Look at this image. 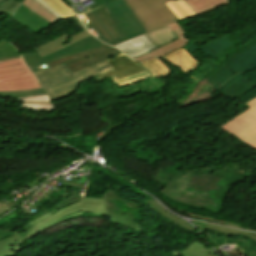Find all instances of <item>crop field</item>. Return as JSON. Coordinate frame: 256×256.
Instances as JSON below:
<instances>
[{
    "instance_id": "28",
    "label": "crop field",
    "mask_w": 256,
    "mask_h": 256,
    "mask_svg": "<svg viewBox=\"0 0 256 256\" xmlns=\"http://www.w3.org/2000/svg\"><path fill=\"white\" fill-rule=\"evenodd\" d=\"M18 5L19 3H16L15 0H0V13L3 12L4 14L11 16Z\"/></svg>"
},
{
    "instance_id": "1",
    "label": "crop field",
    "mask_w": 256,
    "mask_h": 256,
    "mask_svg": "<svg viewBox=\"0 0 256 256\" xmlns=\"http://www.w3.org/2000/svg\"><path fill=\"white\" fill-rule=\"evenodd\" d=\"M85 212L106 215L104 200L82 198V202L50 211L22 227L21 231H15L11 238L1 241L0 256H15L17 252L33 243L29 239L35 234L41 233L66 219L81 216Z\"/></svg>"
},
{
    "instance_id": "14",
    "label": "crop field",
    "mask_w": 256,
    "mask_h": 256,
    "mask_svg": "<svg viewBox=\"0 0 256 256\" xmlns=\"http://www.w3.org/2000/svg\"><path fill=\"white\" fill-rule=\"evenodd\" d=\"M169 26L177 34V36L180 39L170 42V43H168L150 53H147L141 57H138L134 60H136L139 63L145 59L154 58V57H162L165 54H167L177 48L184 47L185 44L188 42V40L183 36L186 33L176 23L170 24Z\"/></svg>"
},
{
    "instance_id": "42",
    "label": "crop field",
    "mask_w": 256,
    "mask_h": 256,
    "mask_svg": "<svg viewBox=\"0 0 256 256\" xmlns=\"http://www.w3.org/2000/svg\"><path fill=\"white\" fill-rule=\"evenodd\" d=\"M236 2L239 1V0H235Z\"/></svg>"
},
{
    "instance_id": "9",
    "label": "crop field",
    "mask_w": 256,
    "mask_h": 256,
    "mask_svg": "<svg viewBox=\"0 0 256 256\" xmlns=\"http://www.w3.org/2000/svg\"><path fill=\"white\" fill-rule=\"evenodd\" d=\"M119 53L121 52L117 49L104 45L62 60L48 63V66L52 68L63 63L72 73H74L80 69H83L107 57L117 55Z\"/></svg>"
},
{
    "instance_id": "11",
    "label": "crop field",
    "mask_w": 256,
    "mask_h": 256,
    "mask_svg": "<svg viewBox=\"0 0 256 256\" xmlns=\"http://www.w3.org/2000/svg\"><path fill=\"white\" fill-rule=\"evenodd\" d=\"M74 19L84 29V31H81L80 33L73 35V36L63 34L47 43L41 45L40 47L37 48V52L40 54L41 57H43L47 54H50L54 51H57L65 46H69V45L90 35L87 32V30L84 28L82 23L79 21L77 16L74 17Z\"/></svg>"
},
{
    "instance_id": "7",
    "label": "crop field",
    "mask_w": 256,
    "mask_h": 256,
    "mask_svg": "<svg viewBox=\"0 0 256 256\" xmlns=\"http://www.w3.org/2000/svg\"><path fill=\"white\" fill-rule=\"evenodd\" d=\"M104 45L93 36H90L70 47H66L60 51L54 52L43 58L39 56L37 52L28 53L22 55L26 65L32 70V72L47 67L48 62H52L58 59H62L98 46ZM45 69V68H44Z\"/></svg>"
},
{
    "instance_id": "36",
    "label": "crop field",
    "mask_w": 256,
    "mask_h": 256,
    "mask_svg": "<svg viewBox=\"0 0 256 256\" xmlns=\"http://www.w3.org/2000/svg\"><path fill=\"white\" fill-rule=\"evenodd\" d=\"M25 104H48V105H52L51 102H22Z\"/></svg>"
},
{
    "instance_id": "43",
    "label": "crop field",
    "mask_w": 256,
    "mask_h": 256,
    "mask_svg": "<svg viewBox=\"0 0 256 256\" xmlns=\"http://www.w3.org/2000/svg\"><path fill=\"white\" fill-rule=\"evenodd\" d=\"M1 61V60H0Z\"/></svg>"
},
{
    "instance_id": "2",
    "label": "crop field",
    "mask_w": 256,
    "mask_h": 256,
    "mask_svg": "<svg viewBox=\"0 0 256 256\" xmlns=\"http://www.w3.org/2000/svg\"><path fill=\"white\" fill-rule=\"evenodd\" d=\"M112 70L106 59L95 65L87 67L72 74L63 64L50 69L49 67L34 72L39 83L43 86L49 97L64 98L71 94L78 84L86 79L98 76Z\"/></svg>"
},
{
    "instance_id": "13",
    "label": "crop field",
    "mask_w": 256,
    "mask_h": 256,
    "mask_svg": "<svg viewBox=\"0 0 256 256\" xmlns=\"http://www.w3.org/2000/svg\"><path fill=\"white\" fill-rule=\"evenodd\" d=\"M115 46L127 53L132 59L156 49L154 44L144 35L138 36Z\"/></svg>"
},
{
    "instance_id": "30",
    "label": "crop field",
    "mask_w": 256,
    "mask_h": 256,
    "mask_svg": "<svg viewBox=\"0 0 256 256\" xmlns=\"http://www.w3.org/2000/svg\"><path fill=\"white\" fill-rule=\"evenodd\" d=\"M81 21L84 23V25L87 27V29L96 37L101 39L102 41L110 44L94 27L93 25L87 20V18L84 16V14L79 16Z\"/></svg>"
},
{
    "instance_id": "39",
    "label": "crop field",
    "mask_w": 256,
    "mask_h": 256,
    "mask_svg": "<svg viewBox=\"0 0 256 256\" xmlns=\"http://www.w3.org/2000/svg\"><path fill=\"white\" fill-rule=\"evenodd\" d=\"M106 4L111 2V1H115V0H103Z\"/></svg>"
},
{
    "instance_id": "16",
    "label": "crop field",
    "mask_w": 256,
    "mask_h": 256,
    "mask_svg": "<svg viewBox=\"0 0 256 256\" xmlns=\"http://www.w3.org/2000/svg\"><path fill=\"white\" fill-rule=\"evenodd\" d=\"M92 14L96 21L102 26L104 32L107 34L114 45L123 42V39L115 24L113 23L110 15L108 14L105 6L92 11Z\"/></svg>"
},
{
    "instance_id": "24",
    "label": "crop field",
    "mask_w": 256,
    "mask_h": 256,
    "mask_svg": "<svg viewBox=\"0 0 256 256\" xmlns=\"http://www.w3.org/2000/svg\"><path fill=\"white\" fill-rule=\"evenodd\" d=\"M22 4L27 6L33 12L39 14L41 17H43L45 20H47L50 23H52L55 20H57L56 17H54L49 11H47L43 6H41L35 0H25Z\"/></svg>"
},
{
    "instance_id": "3",
    "label": "crop field",
    "mask_w": 256,
    "mask_h": 256,
    "mask_svg": "<svg viewBox=\"0 0 256 256\" xmlns=\"http://www.w3.org/2000/svg\"><path fill=\"white\" fill-rule=\"evenodd\" d=\"M147 32L179 21L163 3L169 0H122Z\"/></svg>"
},
{
    "instance_id": "4",
    "label": "crop field",
    "mask_w": 256,
    "mask_h": 256,
    "mask_svg": "<svg viewBox=\"0 0 256 256\" xmlns=\"http://www.w3.org/2000/svg\"><path fill=\"white\" fill-rule=\"evenodd\" d=\"M22 59L0 62V91L39 88Z\"/></svg>"
},
{
    "instance_id": "31",
    "label": "crop field",
    "mask_w": 256,
    "mask_h": 256,
    "mask_svg": "<svg viewBox=\"0 0 256 256\" xmlns=\"http://www.w3.org/2000/svg\"><path fill=\"white\" fill-rule=\"evenodd\" d=\"M86 17L88 18V20L94 25V27L111 43V41L108 39V37L105 35V33L103 32L101 26L95 21V19L93 18L92 14L90 12L85 13ZM112 44V43H111ZM113 45V44H112Z\"/></svg>"
},
{
    "instance_id": "19",
    "label": "crop field",
    "mask_w": 256,
    "mask_h": 256,
    "mask_svg": "<svg viewBox=\"0 0 256 256\" xmlns=\"http://www.w3.org/2000/svg\"><path fill=\"white\" fill-rule=\"evenodd\" d=\"M145 203L147 205H149L152 210L159 213L163 218L167 219L168 221H171L175 224H178L184 228H187V229L193 231V228L186 221H184V220L174 216L170 212H168L157 201H154V199H147L145 201Z\"/></svg>"
},
{
    "instance_id": "10",
    "label": "crop field",
    "mask_w": 256,
    "mask_h": 256,
    "mask_svg": "<svg viewBox=\"0 0 256 256\" xmlns=\"http://www.w3.org/2000/svg\"><path fill=\"white\" fill-rule=\"evenodd\" d=\"M107 61L113 67L114 70L104 73L98 77L93 78L92 80L97 81L98 83L101 82L103 79L110 77L114 74H118L120 78L135 75L141 72H145V70L135 64L132 60H130L127 56L123 53L107 58ZM117 75V76H118Z\"/></svg>"
},
{
    "instance_id": "29",
    "label": "crop field",
    "mask_w": 256,
    "mask_h": 256,
    "mask_svg": "<svg viewBox=\"0 0 256 256\" xmlns=\"http://www.w3.org/2000/svg\"><path fill=\"white\" fill-rule=\"evenodd\" d=\"M148 77H149L148 73L145 72V73H141V74H138V75H135V76H131V77L115 80L113 82L115 84H118L121 87L123 85L134 83V82L143 80V79L148 78Z\"/></svg>"
},
{
    "instance_id": "40",
    "label": "crop field",
    "mask_w": 256,
    "mask_h": 256,
    "mask_svg": "<svg viewBox=\"0 0 256 256\" xmlns=\"http://www.w3.org/2000/svg\"><path fill=\"white\" fill-rule=\"evenodd\" d=\"M0 59H2V61L5 60L1 55H0Z\"/></svg>"
},
{
    "instance_id": "33",
    "label": "crop field",
    "mask_w": 256,
    "mask_h": 256,
    "mask_svg": "<svg viewBox=\"0 0 256 256\" xmlns=\"http://www.w3.org/2000/svg\"><path fill=\"white\" fill-rule=\"evenodd\" d=\"M22 101H50L47 95L31 97V98H20Z\"/></svg>"
},
{
    "instance_id": "20",
    "label": "crop field",
    "mask_w": 256,
    "mask_h": 256,
    "mask_svg": "<svg viewBox=\"0 0 256 256\" xmlns=\"http://www.w3.org/2000/svg\"><path fill=\"white\" fill-rule=\"evenodd\" d=\"M203 231L209 230V231H216L219 234H225V235H244L248 237L249 239L255 241L256 243V234L249 233V232H243V231H238L214 224H206V223H199L198 224Z\"/></svg>"
},
{
    "instance_id": "22",
    "label": "crop field",
    "mask_w": 256,
    "mask_h": 256,
    "mask_svg": "<svg viewBox=\"0 0 256 256\" xmlns=\"http://www.w3.org/2000/svg\"><path fill=\"white\" fill-rule=\"evenodd\" d=\"M165 4L179 20L195 17L194 13L183 0H178L176 2H174L173 0L170 2H166Z\"/></svg>"
},
{
    "instance_id": "38",
    "label": "crop field",
    "mask_w": 256,
    "mask_h": 256,
    "mask_svg": "<svg viewBox=\"0 0 256 256\" xmlns=\"http://www.w3.org/2000/svg\"><path fill=\"white\" fill-rule=\"evenodd\" d=\"M249 256H256V253L251 251Z\"/></svg>"
},
{
    "instance_id": "12",
    "label": "crop field",
    "mask_w": 256,
    "mask_h": 256,
    "mask_svg": "<svg viewBox=\"0 0 256 256\" xmlns=\"http://www.w3.org/2000/svg\"><path fill=\"white\" fill-rule=\"evenodd\" d=\"M12 19L28 27L34 33H38L42 29L47 28L50 25L47 21L33 13L31 10H29L22 4L17 9Z\"/></svg>"
},
{
    "instance_id": "41",
    "label": "crop field",
    "mask_w": 256,
    "mask_h": 256,
    "mask_svg": "<svg viewBox=\"0 0 256 256\" xmlns=\"http://www.w3.org/2000/svg\"><path fill=\"white\" fill-rule=\"evenodd\" d=\"M207 256H211V255L208 254Z\"/></svg>"
},
{
    "instance_id": "25",
    "label": "crop field",
    "mask_w": 256,
    "mask_h": 256,
    "mask_svg": "<svg viewBox=\"0 0 256 256\" xmlns=\"http://www.w3.org/2000/svg\"><path fill=\"white\" fill-rule=\"evenodd\" d=\"M208 253L217 256L212 249L195 242L184 250L183 256H206Z\"/></svg>"
},
{
    "instance_id": "5",
    "label": "crop field",
    "mask_w": 256,
    "mask_h": 256,
    "mask_svg": "<svg viewBox=\"0 0 256 256\" xmlns=\"http://www.w3.org/2000/svg\"><path fill=\"white\" fill-rule=\"evenodd\" d=\"M111 187L103 196L99 198L105 199L107 216L114 222L128 226L129 228L141 232L140 226L133 223L134 220L141 219L138 205L134 202L127 201L118 197L114 188Z\"/></svg>"
},
{
    "instance_id": "35",
    "label": "crop field",
    "mask_w": 256,
    "mask_h": 256,
    "mask_svg": "<svg viewBox=\"0 0 256 256\" xmlns=\"http://www.w3.org/2000/svg\"><path fill=\"white\" fill-rule=\"evenodd\" d=\"M9 209H11V208H9V207H7V206H5V205L0 203V214L5 212V211H7V210H9Z\"/></svg>"
},
{
    "instance_id": "15",
    "label": "crop field",
    "mask_w": 256,
    "mask_h": 256,
    "mask_svg": "<svg viewBox=\"0 0 256 256\" xmlns=\"http://www.w3.org/2000/svg\"><path fill=\"white\" fill-rule=\"evenodd\" d=\"M162 58H164L166 61H168L186 74L194 71L199 65V63L196 62L197 60L195 59V61L184 48L175 50Z\"/></svg>"
},
{
    "instance_id": "26",
    "label": "crop field",
    "mask_w": 256,
    "mask_h": 256,
    "mask_svg": "<svg viewBox=\"0 0 256 256\" xmlns=\"http://www.w3.org/2000/svg\"><path fill=\"white\" fill-rule=\"evenodd\" d=\"M43 94H45V92L42 90V88L33 89V90H24V91L0 92V96H6V97H30V96L43 95Z\"/></svg>"
},
{
    "instance_id": "18",
    "label": "crop field",
    "mask_w": 256,
    "mask_h": 256,
    "mask_svg": "<svg viewBox=\"0 0 256 256\" xmlns=\"http://www.w3.org/2000/svg\"><path fill=\"white\" fill-rule=\"evenodd\" d=\"M145 36L148 37L157 48L178 38L169 26L156 30L152 33H147Z\"/></svg>"
},
{
    "instance_id": "17",
    "label": "crop field",
    "mask_w": 256,
    "mask_h": 256,
    "mask_svg": "<svg viewBox=\"0 0 256 256\" xmlns=\"http://www.w3.org/2000/svg\"><path fill=\"white\" fill-rule=\"evenodd\" d=\"M196 16L211 10L217 9L225 4L231 3L228 0H185Z\"/></svg>"
},
{
    "instance_id": "34",
    "label": "crop field",
    "mask_w": 256,
    "mask_h": 256,
    "mask_svg": "<svg viewBox=\"0 0 256 256\" xmlns=\"http://www.w3.org/2000/svg\"><path fill=\"white\" fill-rule=\"evenodd\" d=\"M40 4H42L47 10H49L54 16L58 19H61L43 0H37Z\"/></svg>"
},
{
    "instance_id": "37",
    "label": "crop field",
    "mask_w": 256,
    "mask_h": 256,
    "mask_svg": "<svg viewBox=\"0 0 256 256\" xmlns=\"http://www.w3.org/2000/svg\"><path fill=\"white\" fill-rule=\"evenodd\" d=\"M98 6L105 5L102 0H93Z\"/></svg>"
},
{
    "instance_id": "32",
    "label": "crop field",
    "mask_w": 256,
    "mask_h": 256,
    "mask_svg": "<svg viewBox=\"0 0 256 256\" xmlns=\"http://www.w3.org/2000/svg\"><path fill=\"white\" fill-rule=\"evenodd\" d=\"M21 107H25L26 109H35V110H54L53 106H47V105H24V104H22Z\"/></svg>"
},
{
    "instance_id": "23",
    "label": "crop field",
    "mask_w": 256,
    "mask_h": 256,
    "mask_svg": "<svg viewBox=\"0 0 256 256\" xmlns=\"http://www.w3.org/2000/svg\"><path fill=\"white\" fill-rule=\"evenodd\" d=\"M62 18L75 16L73 10L62 0H44Z\"/></svg>"
},
{
    "instance_id": "8",
    "label": "crop field",
    "mask_w": 256,
    "mask_h": 256,
    "mask_svg": "<svg viewBox=\"0 0 256 256\" xmlns=\"http://www.w3.org/2000/svg\"><path fill=\"white\" fill-rule=\"evenodd\" d=\"M124 41L146 33L121 0L105 5Z\"/></svg>"
},
{
    "instance_id": "6",
    "label": "crop field",
    "mask_w": 256,
    "mask_h": 256,
    "mask_svg": "<svg viewBox=\"0 0 256 256\" xmlns=\"http://www.w3.org/2000/svg\"><path fill=\"white\" fill-rule=\"evenodd\" d=\"M246 104L251 108L223 125L222 128L256 149V99Z\"/></svg>"
},
{
    "instance_id": "27",
    "label": "crop field",
    "mask_w": 256,
    "mask_h": 256,
    "mask_svg": "<svg viewBox=\"0 0 256 256\" xmlns=\"http://www.w3.org/2000/svg\"><path fill=\"white\" fill-rule=\"evenodd\" d=\"M0 54L6 60L21 57L12 45L3 40L0 41Z\"/></svg>"
},
{
    "instance_id": "21",
    "label": "crop field",
    "mask_w": 256,
    "mask_h": 256,
    "mask_svg": "<svg viewBox=\"0 0 256 256\" xmlns=\"http://www.w3.org/2000/svg\"><path fill=\"white\" fill-rule=\"evenodd\" d=\"M140 64L144 66L153 77H164L171 72L158 58L149 59Z\"/></svg>"
}]
</instances>
